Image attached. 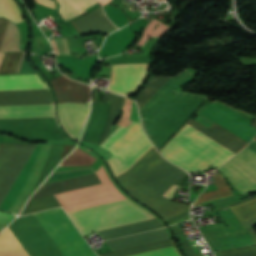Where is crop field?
<instances>
[{
	"mask_svg": "<svg viewBox=\"0 0 256 256\" xmlns=\"http://www.w3.org/2000/svg\"><path fill=\"white\" fill-rule=\"evenodd\" d=\"M1 16L15 23L24 20L14 0H0V17Z\"/></svg>",
	"mask_w": 256,
	"mask_h": 256,
	"instance_id": "crop-field-22",
	"label": "crop field"
},
{
	"mask_svg": "<svg viewBox=\"0 0 256 256\" xmlns=\"http://www.w3.org/2000/svg\"><path fill=\"white\" fill-rule=\"evenodd\" d=\"M62 40H63L64 46H65L66 53H67V54H69V50H68V47H67L66 40H65V39H62ZM62 40H61V39H59V41H60V45H61V49H62V53H63V54H66V53H65V50H64V47H63ZM51 42H52V44H53V46H54V48H55V50H56V54H57V55H59V54H58V51H57V49H56V46H55L54 41H53V40H51Z\"/></svg>",
	"mask_w": 256,
	"mask_h": 256,
	"instance_id": "crop-field-31",
	"label": "crop field"
},
{
	"mask_svg": "<svg viewBox=\"0 0 256 256\" xmlns=\"http://www.w3.org/2000/svg\"><path fill=\"white\" fill-rule=\"evenodd\" d=\"M172 245H174V244H173L172 240L169 239V240H165V241L141 245V246L132 247V248H128V249L104 253V254H100L99 256H128V255H133V254L146 252V251H150V250H155V249L168 247V246H172ZM133 256H180V255L177 252L175 246H172V247L159 249V250H155V251H150V252L137 254V255H133Z\"/></svg>",
	"mask_w": 256,
	"mask_h": 256,
	"instance_id": "crop-field-15",
	"label": "crop field"
},
{
	"mask_svg": "<svg viewBox=\"0 0 256 256\" xmlns=\"http://www.w3.org/2000/svg\"><path fill=\"white\" fill-rule=\"evenodd\" d=\"M186 218H187V217H186L185 213L183 212V213H181V214H179V215H176V216H174V217H171V218H169V219H166V221H167V223H168L169 225H171V224H173V223L179 222V221L184 220V219H186Z\"/></svg>",
	"mask_w": 256,
	"mask_h": 256,
	"instance_id": "crop-field-30",
	"label": "crop field"
},
{
	"mask_svg": "<svg viewBox=\"0 0 256 256\" xmlns=\"http://www.w3.org/2000/svg\"><path fill=\"white\" fill-rule=\"evenodd\" d=\"M48 89L37 74L0 76V91ZM52 103L50 90L0 92L1 105ZM54 116L52 104L1 106L0 118ZM0 129L32 141L67 139L55 123V117L0 119Z\"/></svg>",
	"mask_w": 256,
	"mask_h": 256,
	"instance_id": "crop-field-3",
	"label": "crop field"
},
{
	"mask_svg": "<svg viewBox=\"0 0 256 256\" xmlns=\"http://www.w3.org/2000/svg\"><path fill=\"white\" fill-rule=\"evenodd\" d=\"M23 52L0 53V73L15 72Z\"/></svg>",
	"mask_w": 256,
	"mask_h": 256,
	"instance_id": "crop-field-23",
	"label": "crop field"
},
{
	"mask_svg": "<svg viewBox=\"0 0 256 256\" xmlns=\"http://www.w3.org/2000/svg\"><path fill=\"white\" fill-rule=\"evenodd\" d=\"M50 83L54 88L58 103L90 101V87L88 85L69 81L62 76L50 80Z\"/></svg>",
	"mask_w": 256,
	"mask_h": 256,
	"instance_id": "crop-field-14",
	"label": "crop field"
},
{
	"mask_svg": "<svg viewBox=\"0 0 256 256\" xmlns=\"http://www.w3.org/2000/svg\"><path fill=\"white\" fill-rule=\"evenodd\" d=\"M71 23H72V25L77 29V31H78L79 33H82V32L80 31V29L75 25V23H74L73 21H71Z\"/></svg>",
	"mask_w": 256,
	"mask_h": 256,
	"instance_id": "crop-field-34",
	"label": "crop field"
},
{
	"mask_svg": "<svg viewBox=\"0 0 256 256\" xmlns=\"http://www.w3.org/2000/svg\"><path fill=\"white\" fill-rule=\"evenodd\" d=\"M127 191L164 219L190 209V206L171 202L161 197L142 182Z\"/></svg>",
	"mask_w": 256,
	"mask_h": 256,
	"instance_id": "crop-field-12",
	"label": "crop field"
},
{
	"mask_svg": "<svg viewBox=\"0 0 256 256\" xmlns=\"http://www.w3.org/2000/svg\"><path fill=\"white\" fill-rule=\"evenodd\" d=\"M256 139V138H255ZM253 140L251 143L247 145L248 148L252 149L256 153V140Z\"/></svg>",
	"mask_w": 256,
	"mask_h": 256,
	"instance_id": "crop-field-33",
	"label": "crop field"
},
{
	"mask_svg": "<svg viewBox=\"0 0 256 256\" xmlns=\"http://www.w3.org/2000/svg\"><path fill=\"white\" fill-rule=\"evenodd\" d=\"M125 128L119 127L102 145L101 147L106 148Z\"/></svg>",
	"mask_w": 256,
	"mask_h": 256,
	"instance_id": "crop-field-28",
	"label": "crop field"
},
{
	"mask_svg": "<svg viewBox=\"0 0 256 256\" xmlns=\"http://www.w3.org/2000/svg\"><path fill=\"white\" fill-rule=\"evenodd\" d=\"M13 218L12 215L0 212V230Z\"/></svg>",
	"mask_w": 256,
	"mask_h": 256,
	"instance_id": "crop-field-29",
	"label": "crop field"
},
{
	"mask_svg": "<svg viewBox=\"0 0 256 256\" xmlns=\"http://www.w3.org/2000/svg\"><path fill=\"white\" fill-rule=\"evenodd\" d=\"M60 206L54 195L28 201L20 215Z\"/></svg>",
	"mask_w": 256,
	"mask_h": 256,
	"instance_id": "crop-field-19",
	"label": "crop field"
},
{
	"mask_svg": "<svg viewBox=\"0 0 256 256\" xmlns=\"http://www.w3.org/2000/svg\"><path fill=\"white\" fill-rule=\"evenodd\" d=\"M90 103L59 104L58 116L64 130L78 140L88 117Z\"/></svg>",
	"mask_w": 256,
	"mask_h": 256,
	"instance_id": "crop-field-13",
	"label": "crop field"
},
{
	"mask_svg": "<svg viewBox=\"0 0 256 256\" xmlns=\"http://www.w3.org/2000/svg\"><path fill=\"white\" fill-rule=\"evenodd\" d=\"M201 114L249 142L256 135V119L252 127L249 125L251 121L217 101L206 107ZM190 119L186 123L236 153L249 143L215 123L207 129ZM188 124L181 127L178 134L169 140L170 143L161 149L166 159L187 171H201L211 165L218 168L236 154Z\"/></svg>",
	"mask_w": 256,
	"mask_h": 256,
	"instance_id": "crop-field-1",
	"label": "crop field"
},
{
	"mask_svg": "<svg viewBox=\"0 0 256 256\" xmlns=\"http://www.w3.org/2000/svg\"><path fill=\"white\" fill-rule=\"evenodd\" d=\"M195 74L185 71L171 78L153 77L148 87L137 98L146 133L157 147H161L174 131L206 98L175 92Z\"/></svg>",
	"mask_w": 256,
	"mask_h": 256,
	"instance_id": "crop-field-6",
	"label": "crop field"
},
{
	"mask_svg": "<svg viewBox=\"0 0 256 256\" xmlns=\"http://www.w3.org/2000/svg\"><path fill=\"white\" fill-rule=\"evenodd\" d=\"M148 64L113 65L109 91L129 96L143 82Z\"/></svg>",
	"mask_w": 256,
	"mask_h": 256,
	"instance_id": "crop-field-11",
	"label": "crop field"
},
{
	"mask_svg": "<svg viewBox=\"0 0 256 256\" xmlns=\"http://www.w3.org/2000/svg\"><path fill=\"white\" fill-rule=\"evenodd\" d=\"M172 228H173L174 232L176 233V235L178 236V238L180 239L182 246H183L184 250L186 251V253L188 254V256L196 255L194 250L192 249V247L186 240L185 236L181 232L180 228L177 225H173Z\"/></svg>",
	"mask_w": 256,
	"mask_h": 256,
	"instance_id": "crop-field-27",
	"label": "crop field"
},
{
	"mask_svg": "<svg viewBox=\"0 0 256 256\" xmlns=\"http://www.w3.org/2000/svg\"><path fill=\"white\" fill-rule=\"evenodd\" d=\"M152 147L140 123L133 121L106 148L114 154L107 162L115 177L128 171ZM163 160L153 147L117 179L127 190L144 180ZM183 172L164 160L143 182L161 195Z\"/></svg>",
	"mask_w": 256,
	"mask_h": 256,
	"instance_id": "crop-field-5",
	"label": "crop field"
},
{
	"mask_svg": "<svg viewBox=\"0 0 256 256\" xmlns=\"http://www.w3.org/2000/svg\"><path fill=\"white\" fill-rule=\"evenodd\" d=\"M241 192L256 191V154L244 149L219 168Z\"/></svg>",
	"mask_w": 256,
	"mask_h": 256,
	"instance_id": "crop-field-10",
	"label": "crop field"
},
{
	"mask_svg": "<svg viewBox=\"0 0 256 256\" xmlns=\"http://www.w3.org/2000/svg\"><path fill=\"white\" fill-rule=\"evenodd\" d=\"M221 256H256V245L233 251L219 252Z\"/></svg>",
	"mask_w": 256,
	"mask_h": 256,
	"instance_id": "crop-field-25",
	"label": "crop field"
},
{
	"mask_svg": "<svg viewBox=\"0 0 256 256\" xmlns=\"http://www.w3.org/2000/svg\"><path fill=\"white\" fill-rule=\"evenodd\" d=\"M230 207L256 241V233L251 228L256 224V196ZM231 210L229 207L217 210L229 227L223 228L222 225H219L201 229L214 251L255 244Z\"/></svg>",
	"mask_w": 256,
	"mask_h": 256,
	"instance_id": "crop-field-7",
	"label": "crop field"
},
{
	"mask_svg": "<svg viewBox=\"0 0 256 256\" xmlns=\"http://www.w3.org/2000/svg\"><path fill=\"white\" fill-rule=\"evenodd\" d=\"M9 21L0 18V42ZM20 34L15 24L9 22L0 45V51H19Z\"/></svg>",
	"mask_w": 256,
	"mask_h": 256,
	"instance_id": "crop-field-17",
	"label": "crop field"
},
{
	"mask_svg": "<svg viewBox=\"0 0 256 256\" xmlns=\"http://www.w3.org/2000/svg\"><path fill=\"white\" fill-rule=\"evenodd\" d=\"M65 256H96L61 208L34 214ZM33 214L8 227L29 256H64ZM8 227L0 234V256H28Z\"/></svg>",
	"mask_w": 256,
	"mask_h": 256,
	"instance_id": "crop-field-2",
	"label": "crop field"
},
{
	"mask_svg": "<svg viewBox=\"0 0 256 256\" xmlns=\"http://www.w3.org/2000/svg\"><path fill=\"white\" fill-rule=\"evenodd\" d=\"M214 179L218 190L201 194L194 205L200 204L207 200L232 195V192L230 191L225 181L222 180L220 174L214 176Z\"/></svg>",
	"mask_w": 256,
	"mask_h": 256,
	"instance_id": "crop-field-20",
	"label": "crop field"
},
{
	"mask_svg": "<svg viewBox=\"0 0 256 256\" xmlns=\"http://www.w3.org/2000/svg\"><path fill=\"white\" fill-rule=\"evenodd\" d=\"M99 183H100V181L98 180L96 175L79 178V179H75V180H70V181H66L64 183H58V184L39 188L37 190V192L30 198V200L39 198V197H43V196H47V195H51V194H56V193L74 190V189H78V188H82V187H86V186H91V185H95V184H99Z\"/></svg>",
	"mask_w": 256,
	"mask_h": 256,
	"instance_id": "crop-field-16",
	"label": "crop field"
},
{
	"mask_svg": "<svg viewBox=\"0 0 256 256\" xmlns=\"http://www.w3.org/2000/svg\"><path fill=\"white\" fill-rule=\"evenodd\" d=\"M35 1L55 9L54 2L51 0H35Z\"/></svg>",
	"mask_w": 256,
	"mask_h": 256,
	"instance_id": "crop-field-32",
	"label": "crop field"
},
{
	"mask_svg": "<svg viewBox=\"0 0 256 256\" xmlns=\"http://www.w3.org/2000/svg\"><path fill=\"white\" fill-rule=\"evenodd\" d=\"M103 5L108 3L110 0H99Z\"/></svg>",
	"mask_w": 256,
	"mask_h": 256,
	"instance_id": "crop-field-35",
	"label": "crop field"
},
{
	"mask_svg": "<svg viewBox=\"0 0 256 256\" xmlns=\"http://www.w3.org/2000/svg\"><path fill=\"white\" fill-rule=\"evenodd\" d=\"M102 184L55 195L66 212L126 199L109 179L103 165L95 172ZM82 235L154 219L129 199L68 213Z\"/></svg>",
	"mask_w": 256,
	"mask_h": 256,
	"instance_id": "crop-field-4",
	"label": "crop field"
},
{
	"mask_svg": "<svg viewBox=\"0 0 256 256\" xmlns=\"http://www.w3.org/2000/svg\"><path fill=\"white\" fill-rule=\"evenodd\" d=\"M109 64L148 63V57H113L108 58Z\"/></svg>",
	"mask_w": 256,
	"mask_h": 256,
	"instance_id": "crop-field-26",
	"label": "crop field"
},
{
	"mask_svg": "<svg viewBox=\"0 0 256 256\" xmlns=\"http://www.w3.org/2000/svg\"><path fill=\"white\" fill-rule=\"evenodd\" d=\"M97 159L85 153L79 148L65 158L59 166H87L92 165Z\"/></svg>",
	"mask_w": 256,
	"mask_h": 256,
	"instance_id": "crop-field-21",
	"label": "crop field"
},
{
	"mask_svg": "<svg viewBox=\"0 0 256 256\" xmlns=\"http://www.w3.org/2000/svg\"><path fill=\"white\" fill-rule=\"evenodd\" d=\"M158 21H156L155 19H153L147 26L146 30L143 33V36L140 40V42L137 44L138 46H143V44L145 43L147 37L149 36L152 28L157 24ZM170 27L165 26L163 24H161L154 32L151 36H160L163 35V33Z\"/></svg>",
	"mask_w": 256,
	"mask_h": 256,
	"instance_id": "crop-field-24",
	"label": "crop field"
},
{
	"mask_svg": "<svg viewBox=\"0 0 256 256\" xmlns=\"http://www.w3.org/2000/svg\"><path fill=\"white\" fill-rule=\"evenodd\" d=\"M60 5V15L67 21L86 12L84 9L98 3L96 0H56Z\"/></svg>",
	"mask_w": 256,
	"mask_h": 256,
	"instance_id": "crop-field-18",
	"label": "crop field"
},
{
	"mask_svg": "<svg viewBox=\"0 0 256 256\" xmlns=\"http://www.w3.org/2000/svg\"><path fill=\"white\" fill-rule=\"evenodd\" d=\"M25 144L0 143V205L8 194L17 173ZM48 145H38L29 178L9 212L18 214L37 188Z\"/></svg>",
	"mask_w": 256,
	"mask_h": 256,
	"instance_id": "crop-field-8",
	"label": "crop field"
},
{
	"mask_svg": "<svg viewBox=\"0 0 256 256\" xmlns=\"http://www.w3.org/2000/svg\"><path fill=\"white\" fill-rule=\"evenodd\" d=\"M93 99L92 102L96 101V92L92 93ZM125 98L116 96L112 93L105 95L104 101H111V112L110 111V102H94L92 103L91 114L89 117V122L83 132V135L80 141L90 142L97 144L100 135L103 131L105 122V128L101 135V138L98 142L100 146L108 137L109 132L112 128L113 123L118 118L124 104Z\"/></svg>",
	"mask_w": 256,
	"mask_h": 256,
	"instance_id": "crop-field-9",
	"label": "crop field"
}]
</instances>
